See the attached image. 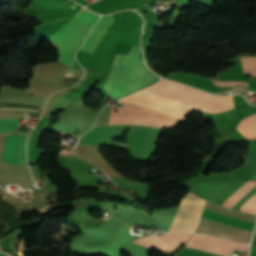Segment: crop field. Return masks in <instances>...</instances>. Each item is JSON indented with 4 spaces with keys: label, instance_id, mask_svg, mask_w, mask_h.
<instances>
[{
    "label": "crop field",
    "instance_id": "obj_1",
    "mask_svg": "<svg viewBox=\"0 0 256 256\" xmlns=\"http://www.w3.org/2000/svg\"><path fill=\"white\" fill-rule=\"evenodd\" d=\"M118 101L136 104L181 121L192 110L218 113L234 108L232 96L218 97L165 79Z\"/></svg>",
    "mask_w": 256,
    "mask_h": 256
},
{
    "label": "crop field",
    "instance_id": "obj_2",
    "mask_svg": "<svg viewBox=\"0 0 256 256\" xmlns=\"http://www.w3.org/2000/svg\"><path fill=\"white\" fill-rule=\"evenodd\" d=\"M140 56V48L135 45L126 56L115 55L103 84L112 100L132 93L159 79L146 67Z\"/></svg>",
    "mask_w": 256,
    "mask_h": 256
},
{
    "label": "crop field",
    "instance_id": "obj_3",
    "mask_svg": "<svg viewBox=\"0 0 256 256\" xmlns=\"http://www.w3.org/2000/svg\"><path fill=\"white\" fill-rule=\"evenodd\" d=\"M98 17L82 8L74 18L50 37L58 49L59 62L75 67V53Z\"/></svg>",
    "mask_w": 256,
    "mask_h": 256
},
{
    "label": "crop field",
    "instance_id": "obj_4",
    "mask_svg": "<svg viewBox=\"0 0 256 256\" xmlns=\"http://www.w3.org/2000/svg\"><path fill=\"white\" fill-rule=\"evenodd\" d=\"M204 208L221 213V214H225L234 218L256 223V215L243 213V212L236 211L234 209L222 207L212 202L207 201ZM211 221L201 218L195 232L206 233V234L249 244L251 233H252L251 231L241 230V229L225 226V225L218 224Z\"/></svg>",
    "mask_w": 256,
    "mask_h": 256
},
{
    "label": "crop field",
    "instance_id": "obj_5",
    "mask_svg": "<svg viewBox=\"0 0 256 256\" xmlns=\"http://www.w3.org/2000/svg\"><path fill=\"white\" fill-rule=\"evenodd\" d=\"M185 246L223 256H229L230 252L234 250H239L248 253L249 249V246L200 234H192V236L189 238Z\"/></svg>",
    "mask_w": 256,
    "mask_h": 256
},
{
    "label": "crop field",
    "instance_id": "obj_6",
    "mask_svg": "<svg viewBox=\"0 0 256 256\" xmlns=\"http://www.w3.org/2000/svg\"><path fill=\"white\" fill-rule=\"evenodd\" d=\"M189 236L190 234L164 233L162 237L149 235L132 243L152 249L175 251Z\"/></svg>",
    "mask_w": 256,
    "mask_h": 256
},
{
    "label": "crop field",
    "instance_id": "obj_7",
    "mask_svg": "<svg viewBox=\"0 0 256 256\" xmlns=\"http://www.w3.org/2000/svg\"><path fill=\"white\" fill-rule=\"evenodd\" d=\"M16 137L17 134L15 136H4L0 160L14 164ZM25 137V133L18 132L15 164L26 165L24 152Z\"/></svg>",
    "mask_w": 256,
    "mask_h": 256
},
{
    "label": "crop field",
    "instance_id": "obj_8",
    "mask_svg": "<svg viewBox=\"0 0 256 256\" xmlns=\"http://www.w3.org/2000/svg\"><path fill=\"white\" fill-rule=\"evenodd\" d=\"M113 21L114 19L112 15L101 16L96 26L82 45L81 50L93 53Z\"/></svg>",
    "mask_w": 256,
    "mask_h": 256
},
{
    "label": "crop field",
    "instance_id": "obj_9",
    "mask_svg": "<svg viewBox=\"0 0 256 256\" xmlns=\"http://www.w3.org/2000/svg\"><path fill=\"white\" fill-rule=\"evenodd\" d=\"M71 9L70 1L33 0L26 10Z\"/></svg>",
    "mask_w": 256,
    "mask_h": 256
},
{
    "label": "crop field",
    "instance_id": "obj_10",
    "mask_svg": "<svg viewBox=\"0 0 256 256\" xmlns=\"http://www.w3.org/2000/svg\"><path fill=\"white\" fill-rule=\"evenodd\" d=\"M240 131L248 139H256V113L243 119L237 125Z\"/></svg>",
    "mask_w": 256,
    "mask_h": 256
},
{
    "label": "crop field",
    "instance_id": "obj_11",
    "mask_svg": "<svg viewBox=\"0 0 256 256\" xmlns=\"http://www.w3.org/2000/svg\"><path fill=\"white\" fill-rule=\"evenodd\" d=\"M245 73L256 77V58H241Z\"/></svg>",
    "mask_w": 256,
    "mask_h": 256
},
{
    "label": "crop field",
    "instance_id": "obj_12",
    "mask_svg": "<svg viewBox=\"0 0 256 256\" xmlns=\"http://www.w3.org/2000/svg\"><path fill=\"white\" fill-rule=\"evenodd\" d=\"M0 101H10V102H27L42 105V100H34L26 97H0Z\"/></svg>",
    "mask_w": 256,
    "mask_h": 256
},
{
    "label": "crop field",
    "instance_id": "obj_13",
    "mask_svg": "<svg viewBox=\"0 0 256 256\" xmlns=\"http://www.w3.org/2000/svg\"><path fill=\"white\" fill-rule=\"evenodd\" d=\"M17 119L0 120V131L14 130L17 127Z\"/></svg>",
    "mask_w": 256,
    "mask_h": 256
},
{
    "label": "crop field",
    "instance_id": "obj_14",
    "mask_svg": "<svg viewBox=\"0 0 256 256\" xmlns=\"http://www.w3.org/2000/svg\"><path fill=\"white\" fill-rule=\"evenodd\" d=\"M255 205H256V195L253 196L249 201H247L243 206H241L240 209L250 211ZM247 211H243V212H247ZM251 212L256 213V206L251 210Z\"/></svg>",
    "mask_w": 256,
    "mask_h": 256
},
{
    "label": "crop field",
    "instance_id": "obj_15",
    "mask_svg": "<svg viewBox=\"0 0 256 256\" xmlns=\"http://www.w3.org/2000/svg\"><path fill=\"white\" fill-rule=\"evenodd\" d=\"M215 82L216 85H221V86H229V85H238V84H242V85H246V83L244 82H230V81H216L213 80Z\"/></svg>",
    "mask_w": 256,
    "mask_h": 256
},
{
    "label": "crop field",
    "instance_id": "obj_16",
    "mask_svg": "<svg viewBox=\"0 0 256 256\" xmlns=\"http://www.w3.org/2000/svg\"><path fill=\"white\" fill-rule=\"evenodd\" d=\"M46 191H45V189H41V187H39V188H37V189H34V190H32V194H31V196H30V198L29 199H33V198H35L37 195H39V194H42V193H45Z\"/></svg>",
    "mask_w": 256,
    "mask_h": 256
},
{
    "label": "crop field",
    "instance_id": "obj_17",
    "mask_svg": "<svg viewBox=\"0 0 256 256\" xmlns=\"http://www.w3.org/2000/svg\"><path fill=\"white\" fill-rule=\"evenodd\" d=\"M65 76L74 77V74H72V73H66V75H65Z\"/></svg>",
    "mask_w": 256,
    "mask_h": 256
},
{
    "label": "crop field",
    "instance_id": "obj_18",
    "mask_svg": "<svg viewBox=\"0 0 256 256\" xmlns=\"http://www.w3.org/2000/svg\"><path fill=\"white\" fill-rule=\"evenodd\" d=\"M12 198H13V197H12ZM13 200H14L17 204H19V205H22V203H23V202H22V203H18V202H17V199H14V198H13Z\"/></svg>",
    "mask_w": 256,
    "mask_h": 256
}]
</instances>
